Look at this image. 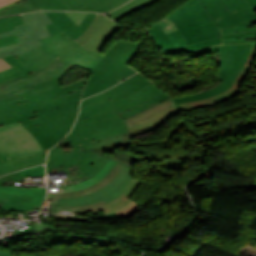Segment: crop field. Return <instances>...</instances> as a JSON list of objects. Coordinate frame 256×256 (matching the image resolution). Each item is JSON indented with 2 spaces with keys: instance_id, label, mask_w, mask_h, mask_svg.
I'll use <instances>...</instances> for the list:
<instances>
[{
  "instance_id": "36",
  "label": "crop field",
  "mask_w": 256,
  "mask_h": 256,
  "mask_svg": "<svg viewBox=\"0 0 256 256\" xmlns=\"http://www.w3.org/2000/svg\"><path fill=\"white\" fill-rule=\"evenodd\" d=\"M140 209H142V207L136 205L135 203H131L129 204L127 207L115 212L117 213L119 216H121L122 218L128 219L131 215H133L134 213H136L137 211H139Z\"/></svg>"
},
{
  "instance_id": "47",
  "label": "crop field",
  "mask_w": 256,
  "mask_h": 256,
  "mask_svg": "<svg viewBox=\"0 0 256 256\" xmlns=\"http://www.w3.org/2000/svg\"><path fill=\"white\" fill-rule=\"evenodd\" d=\"M248 2L251 4V6L254 8L256 11V0H248Z\"/></svg>"
},
{
  "instance_id": "23",
  "label": "crop field",
  "mask_w": 256,
  "mask_h": 256,
  "mask_svg": "<svg viewBox=\"0 0 256 256\" xmlns=\"http://www.w3.org/2000/svg\"><path fill=\"white\" fill-rule=\"evenodd\" d=\"M17 59L21 61L32 72L37 69L43 68L56 60L55 57L51 56L40 47Z\"/></svg>"
},
{
  "instance_id": "43",
  "label": "crop field",
  "mask_w": 256,
  "mask_h": 256,
  "mask_svg": "<svg viewBox=\"0 0 256 256\" xmlns=\"http://www.w3.org/2000/svg\"><path fill=\"white\" fill-rule=\"evenodd\" d=\"M111 218H121V217H119L115 213H111L109 215H104V216H99V217H91V216H89L88 219H91V220H101V219H111Z\"/></svg>"
},
{
  "instance_id": "30",
  "label": "crop field",
  "mask_w": 256,
  "mask_h": 256,
  "mask_svg": "<svg viewBox=\"0 0 256 256\" xmlns=\"http://www.w3.org/2000/svg\"><path fill=\"white\" fill-rule=\"evenodd\" d=\"M40 10L32 0H18L0 7V16Z\"/></svg>"
},
{
  "instance_id": "31",
  "label": "crop field",
  "mask_w": 256,
  "mask_h": 256,
  "mask_svg": "<svg viewBox=\"0 0 256 256\" xmlns=\"http://www.w3.org/2000/svg\"><path fill=\"white\" fill-rule=\"evenodd\" d=\"M155 0H132L131 2H129L128 4L107 13L106 15L112 19H119L151 2H153Z\"/></svg>"
},
{
  "instance_id": "11",
  "label": "crop field",
  "mask_w": 256,
  "mask_h": 256,
  "mask_svg": "<svg viewBox=\"0 0 256 256\" xmlns=\"http://www.w3.org/2000/svg\"><path fill=\"white\" fill-rule=\"evenodd\" d=\"M130 138L131 135L128 132L97 141L82 143L80 145L84 153L100 154L99 157H105L132 168L138 158L135 155L118 152L113 149V147L132 145Z\"/></svg>"
},
{
  "instance_id": "29",
  "label": "crop field",
  "mask_w": 256,
  "mask_h": 256,
  "mask_svg": "<svg viewBox=\"0 0 256 256\" xmlns=\"http://www.w3.org/2000/svg\"><path fill=\"white\" fill-rule=\"evenodd\" d=\"M141 183V181L133 178L131 179V181L129 182L128 186L126 187V189L123 191V193L120 195L123 198L120 199L117 203L106 206L104 208L101 209H96V210H91V211H79V212H92V211H101L103 210V213H110L112 211H115L121 207H123L124 205H126L127 203H129L131 200H129L130 196L132 195V193L134 192L135 188L138 187V185ZM129 198V199H128Z\"/></svg>"
},
{
  "instance_id": "39",
  "label": "crop field",
  "mask_w": 256,
  "mask_h": 256,
  "mask_svg": "<svg viewBox=\"0 0 256 256\" xmlns=\"http://www.w3.org/2000/svg\"><path fill=\"white\" fill-rule=\"evenodd\" d=\"M69 18H71L78 26L87 13L84 12H64Z\"/></svg>"
},
{
  "instance_id": "4",
  "label": "crop field",
  "mask_w": 256,
  "mask_h": 256,
  "mask_svg": "<svg viewBox=\"0 0 256 256\" xmlns=\"http://www.w3.org/2000/svg\"><path fill=\"white\" fill-rule=\"evenodd\" d=\"M169 17L189 44L221 36L220 30L198 0H190Z\"/></svg>"
},
{
  "instance_id": "6",
  "label": "crop field",
  "mask_w": 256,
  "mask_h": 256,
  "mask_svg": "<svg viewBox=\"0 0 256 256\" xmlns=\"http://www.w3.org/2000/svg\"><path fill=\"white\" fill-rule=\"evenodd\" d=\"M148 84L150 82L137 73L103 93L83 99L80 106V115L77 120L115 111L111 101L123 98Z\"/></svg>"
},
{
  "instance_id": "35",
  "label": "crop field",
  "mask_w": 256,
  "mask_h": 256,
  "mask_svg": "<svg viewBox=\"0 0 256 256\" xmlns=\"http://www.w3.org/2000/svg\"><path fill=\"white\" fill-rule=\"evenodd\" d=\"M23 20L20 15L1 17L0 18V32L14 29L16 25L23 24Z\"/></svg>"
},
{
  "instance_id": "28",
  "label": "crop field",
  "mask_w": 256,
  "mask_h": 256,
  "mask_svg": "<svg viewBox=\"0 0 256 256\" xmlns=\"http://www.w3.org/2000/svg\"><path fill=\"white\" fill-rule=\"evenodd\" d=\"M115 163L116 162L108 160V162L103 167V169L101 171H99L94 177L89 179L88 181H84L83 183L75 184V185H72L69 187L48 189V193L68 192V191H73V190H77V189H82L89 185H92V184L96 183L97 181H99L100 179H102Z\"/></svg>"
},
{
  "instance_id": "38",
  "label": "crop field",
  "mask_w": 256,
  "mask_h": 256,
  "mask_svg": "<svg viewBox=\"0 0 256 256\" xmlns=\"http://www.w3.org/2000/svg\"><path fill=\"white\" fill-rule=\"evenodd\" d=\"M58 216V217H56ZM52 218L57 219H64V220H71V221H81V222H90L94 223V221L87 220L88 216H60V215H53Z\"/></svg>"
},
{
  "instance_id": "1",
  "label": "crop field",
  "mask_w": 256,
  "mask_h": 256,
  "mask_svg": "<svg viewBox=\"0 0 256 256\" xmlns=\"http://www.w3.org/2000/svg\"><path fill=\"white\" fill-rule=\"evenodd\" d=\"M73 64L58 58L48 67L0 84V125L20 121L44 151L75 121L86 78L65 87L58 81Z\"/></svg>"
},
{
  "instance_id": "12",
  "label": "crop field",
  "mask_w": 256,
  "mask_h": 256,
  "mask_svg": "<svg viewBox=\"0 0 256 256\" xmlns=\"http://www.w3.org/2000/svg\"><path fill=\"white\" fill-rule=\"evenodd\" d=\"M41 10L109 12L129 0H33Z\"/></svg>"
},
{
  "instance_id": "41",
  "label": "crop field",
  "mask_w": 256,
  "mask_h": 256,
  "mask_svg": "<svg viewBox=\"0 0 256 256\" xmlns=\"http://www.w3.org/2000/svg\"><path fill=\"white\" fill-rule=\"evenodd\" d=\"M16 35H11L7 37L0 38V47L17 42Z\"/></svg>"
},
{
  "instance_id": "20",
  "label": "crop field",
  "mask_w": 256,
  "mask_h": 256,
  "mask_svg": "<svg viewBox=\"0 0 256 256\" xmlns=\"http://www.w3.org/2000/svg\"><path fill=\"white\" fill-rule=\"evenodd\" d=\"M255 56H256V43H253L250 55H249L245 65H244L241 73L236 78V80L233 82L234 86L230 90H228L224 93L212 96L210 98L204 99V100L180 103V104H178L179 108H187V107L206 104V103H211V102H214L215 104H218V103L223 102L227 99H230L233 96H235L236 94H238L242 90L238 87L241 84L243 78L246 76L248 70L250 69Z\"/></svg>"
},
{
  "instance_id": "17",
  "label": "crop field",
  "mask_w": 256,
  "mask_h": 256,
  "mask_svg": "<svg viewBox=\"0 0 256 256\" xmlns=\"http://www.w3.org/2000/svg\"><path fill=\"white\" fill-rule=\"evenodd\" d=\"M160 93H163V92L151 84V85L133 93L132 95H130L126 98L120 99L118 101H114L113 104H114L115 108L117 109V111L111 112L108 114H104L101 116L77 121L74 126H78V125L94 122L97 120H101V119H104L107 117H111L114 115H118L120 112H122L126 109H129V108L135 107Z\"/></svg>"
},
{
  "instance_id": "27",
  "label": "crop field",
  "mask_w": 256,
  "mask_h": 256,
  "mask_svg": "<svg viewBox=\"0 0 256 256\" xmlns=\"http://www.w3.org/2000/svg\"><path fill=\"white\" fill-rule=\"evenodd\" d=\"M12 67L3 71H0V82H4L21 75H26L31 71L27 69L21 62H19L13 55L3 58Z\"/></svg>"
},
{
  "instance_id": "46",
  "label": "crop field",
  "mask_w": 256,
  "mask_h": 256,
  "mask_svg": "<svg viewBox=\"0 0 256 256\" xmlns=\"http://www.w3.org/2000/svg\"><path fill=\"white\" fill-rule=\"evenodd\" d=\"M241 42H256V40L231 41V42H224V43H241Z\"/></svg>"
},
{
  "instance_id": "45",
  "label": "crop field",
  "mask_w": 256,
  "mask_h": 256,
  "mask_svg": "<svg viewBox=\"0 0 256 256\" xmlns=\"http://www.w3.org/2000/svg\"><path fill=\"white\" fill-rule=\"evenodd\" d=\"M13 1H15V0H0V6L9 4V3L13 2Z\"/></svg>"
},
{
  "instance_id": "44",
  "label": "crop field",
  "mask_w": 256,
  "mask_h": 256,
  "mask_svg": "<svg viewBox=\"0 0 256 256\" xmlns=\"http://www.w3.org/2000/svg\"><path fill=\"white\" fill-rule=\"evenodd\" d=\"M8 67H10V65L0 58V70L6 69Z\"/></svg>"
},
{
  "instance_id": "7",
  "label": "crop field",
  "mask_w": 256,
  "mask_h": 256,
  "mask_svg": "<svg viewBox=\"0 0 256 256\" xmlns=\"http://www.w3.org/2000/svg\"><path fill=\"white\" fill-rule=\"evenodd\" d=\"M36 139L19 123L0 126V159L43 154Z\"/></svg>"
},
{
  "instance_id": "15",
  "label": "crop field",
  "mask_w": 256,
  "mask_h": 256,
  "mask_svg": "<svg viewBox=\"0 0 256 256\" xmlns=\"http://www.w3.org/2000/svg\"><path fill=\"white\" fill-rule=\"evenodd\" d=\"M122 27L118 22L98 14L93 24L75 41L85 48L100 52L104 44Z\"/></svg>"
},
{
  "instance_id": "3",
  "label": "crop field",
  "mask_w": 256,
  "mask_h": 256,
  "mask_svg": "<svg viewBox=\"0 0 256 256\" xmlns=\"http://www.w3.org/2000/svg\"><path fill=\"white\" fill-rule=\"evenodd\" d=\"M222 34L256 30V13L247 0H199Z\"/></svg>"
},
{
  "instance_id": "40",
  "label": "crop field",
  "mask_w": 256,
  "mask_h": 256,
  "mask_svg": "<svg viewBox=\"0 0 256 256\" xmlns=\"http://www.w3.org/2000/svg\"><path fill=\"white\" fill-rule=\"evenodd\" d=\"M254 36H256V31L242 32V33H232V34H228V35H223V39L241 38V37H254Z\"/></svg>"
},
{
  "instance_id": "19",
  "label": "crop field",
  "mask_w": 256,
  "mask_h": 256,
  "mask_svg": "<svg viewBox=\"0 0 256 256\" xmlns=\"http://www.w3.org/2000/svg\"><path fill=\"white\" fill-rule=\"evenodd\" d=\"M148 31L150 32V35L152 36L153 40L157 44L158 48L160 49L161 53L163 54H171L176 52H189L194 51L196 49L214 45V44H221L222 40L220 38L188 45L185 47H181L176 49L175 46L172 44V42L169 40L167 35L164 33V31L161 29V27L158 24L153 25L152 27L148 28Z\"/></svg>"
},
{
  "instance_id": "9",
  "label": "crop field",
  "mask_w": 256,
  "mask_h": 256,
  "mask_svg": "<svg viewBox=\"0 0 256 256\" xmlns=\"http://www.w3.org/2000/svg\"><path fill=\"white\" fill-rule=\"evenodd\" d=\"M251 44H234V45H224L225 56H226V67L231 69L229 75L223 82L206 92L199 93L196 95H190L185 97L174 98L176 103L199 100L207 98L209 96L221 93L232 87L231 83L240 73L251 49Z\"/></svg>"
},
{
  "instance_id": "33",
  "label": "crop field",
  "mask_w": 256,
  "mask_h": 256,
  "mask_svg": "<svg viewBox=\"0 0 256 256\" xmlns=\"http://www.w3.org/2000/svg\"><path fill=\"white\" fill-rule=\"evenodd\" d=\"M169 98L170 97L167 96L165 93L160 94L159 96H157V97H155V98H153V99H151V100H149V101H147V102H145V103H143V104H141V105H139V106H137L133 109L127 110V111L121 113L120 115L123 119L127 118V117L132 116L136 113H139V112H141V111H143V110H145V109H147V108H149V107H151V106H153V105H155L159 102L165 101Z\"/></svg>"
},
{
  "instance_id": "16",
  "label": "crop field",
  "mask_w": 256,
  "mask_h": 256,
  "mask_svg": "<svg viewBox=\"0 0 256 256\" xmlns=\"http://www.w3.org/2000/svg\"><path fill=\"white\" fill-rule=\"evenodd\" d=\"M53 24L46 25L50 35L59 34L61 37L68 35L72 39H76L91 25L97 14L88 13L78 27L63 12L45 11Z\"/></svg>"
},
{
  "instance_id": "24",
  "label": "crop field",
  "mask_w": 256,
  "mask_h": 256,
  "mask_svg": "<svg viewBox=\"0 0 256 256\" xmlns=\"http://www.w3.org/2000/svg\"><path fill=\"white\" fill-rule=\"evenodd\" d=\"M46 154L26 158L10 159L0 163V176L8 172L25 167L42 164L45 162Z\"/></svg>"
},
{
  "instance_id": "10",
  "label": "crop field",
  "mask_w": 256,
  "mask_h": 256,
  "mask_svg": "<svg viewBox=\"0 0 256 256\" xmlns=\"http://www.w3.org/2000/svg\"><path fill=\"white\" fill-rule=\"evenodd\" d=\"M124 132H128V130L123 119L118 115L75 127L66 137L71 148H81L79 143L97 140Z\"/></svg>"
},
{
  "instance_id": "22",
  "label": "crop field",
  "mask_w": 256,
  "mask_h": 256,
  "mask_svg": "<svg viewBox=\"0 0 256 256\" xmlns=\"http://www.w3.org/2000/svg\"><path fill=\"white\" fill-rule=\"evenodd\" d=\"M173 106H175V103L172 98H170L169 100L159 103L144 112L125 119V123L128 128L135 125L143 124L152 120L153 118L157 117L158 115Z\"/></svg>"
},
{
  "instance_id": "2",
  "label": "crop field",
  "mask_w": 256,
  "mask_h": 256,
  "mask_svg": "<svg viewBox=\"0 0 256 256\" xmlns=\"http://www.w3.org/2000/svg\"><path fill=\"white\" fill-rule=\"evenodd\" d=\"M138 44L118 40L105 54L107 57L90 69V78L82 99L104 91L135 73L125 64L135 55Z\"/></svg>"
},
{
  "instance_id": "14",
  "label": "crop field",
  "mask_w": 256,
  "mask_h": 256,
  "mask_svg": "<svg viewBox=\"0 0 256 256\" xmlns=\"http://www.w3.org/2000/svg\"><path fill=\"white\" fill-rule=\"evenodd\" d=\"M133 169L125 168L115 177V179L103 189L92 193L87 196L71 198V199H58L56 202H59V206H74V205H84V204H92L95 202H99L103 199L106 202L117 198L121 192L125 189L128 182L132 177Z\"/></svg>"
},
{
  "instance_id": "18",
  "label": "crop field",
  "mask_w": 256,
  "mask_h": 256,
  "mask_svg": "<svg viewBox=\"0 0 256 256\" xmlns=\"http://www.w3.org/2000/svg\"><path fill=\"white\" fill-rule=\"evenodd\" d=\"M82 156V149L63 150L61 142H59L48 153L46 163L47 173L69 168L75 165Z\"/></svg>"
},
{
  "instance_id": "49",
  "label": "crop field",
  "mask_w": 256,
  "mask_h": 256,
  "mask_svg": "<svg viewBox=\"0 0 256 256\" xmlns=\"http://www.w3.org/2000/svg\"><path fill=\"white\" fill-rule=\"evenodd\" d=\"M4 184L1 180H0V185Z\"/></svg>"
},
{
  "instance_id": "34",
  "label": "crop field",
  "mask_w": 256,
  "mask_h": 256,
  "mask_svg": "<svg viewBox=\"0 0 256 256\" xmlns=\"http://www.w3.org/2000/svg\"><path fill=\"white\" fill-rule=\"evenodd\" d=\"M44 166L33 167L23 171L15 172L1 177L2 181L5 180H20L23 176H44Z\"/></svg>"
},
{
  "instance_id": "32",
  "label": "crop field",
  "mask_w": 256,
  "mask_h": 256,
  "mask_svg": "<svg viewBox=\"0 0 256 256\" xmlns=\"http://www.w3.org/2000/svg\"><path fill=\"white\" fill-rule=\"evenodd\" d=\"M212 52H220V64H221V68L220 71L218 72V74L216 75V78L223 80L226 78V76L229 73V69L225 68V57H224V47L223 45L221 46H216V47H211V48H207L204 50H199V51H195L193 52L196 55H200V54H204V53H212Z\"/></svg>"
},
{
  "instance_id": "13",
  "label": "crop field",
  "mask_w": 256,
  "mask_h": 256,
  "mask_svg": "<svg viewBox=\"0 0 256 256\" xmlns=\"http://www.w3.org/2000/svg\"><path fill=\"white\" fill-rule=\"evenodd\" d=\"M46 195V188H18L0 186V198L8 200L2 206L10 210H30L41 207Z\"/></svg>"
},
{
  "instance_id": "48",
  "label": "crop field",
  "mask_w": 256,
  "mask_h": 256,
  "mask_svg": "<svg viewBox=\"0 0 256 256\" xmlns=\"http://www.w3.org/2000/svg\"><path fill=\"white\" fill-rule=\"evenodd\" d=\"M0 256H12L11 253H7V252H0ZM58 256V255H56Z\"/></svg>"
},
{
  "instance_id": "5",
  "label": "crop field",
  "mask_w": 256,
  "mask_h": 256,
  "mask_svg": "<svg viewBox=\"0 0 256 256\" xmlns=\"http://www.w3.org/2000/svg\"><path fill=\"white\" fill-rule=\"evenodd\" d=\"M26 24L17 26L14 30L0 33V37L17 34L19 42L0 48V57L13 54L18 57L40 45V38L49 34L44 24L51 23L44 11L22 15Z\"/></svg>"
},
{
  "instance_id": "21",
  "label": "crop field",
  "mask_w": 256,
  "mask_h": 256,
  "mask_svg": "<svg viewBox=\"0 0 256 256\" xmlns=\"http://www.w3.org/2000/svg\"><path fill=\"white\" fill-rule=\"evenodd\" d=\"M124 165H121L117 163L113 166V168L109 171V173L98 183L82 190L73 191L69 193H58V194H48L46 199H56V198H70V197H76V196H82L87 195L92 192H95L104 186L108 185L114 177L123 169Z\"/></svg>"
},
{
  "instance_id": "26",
  "label": "crop field",
  "mask_w": 256,
  "mask_h": 256,
  "mask_svg": "<svg viewBox=\"0 0 256 256\" xmlns=\"http://www.w3.org/2000/svg\"><path fill=\"white\" fill-rule=\"evenodd\" d=\"M97 157L98 155L95 154H84L81 160L77 163L80 170L83 171L86 180L94 176L107 162V159Z\"/></svg>"
},
{
  "instance_id": "37",
  "label": "crop field",
  "mask_w": 256,
  "mask_h": 256,
  "mask_svg": "<svg viewBox=\"0 0 256 256\" xmlns=\"http://www.w3.org/2000/svg\"><path fill=\"white\" fill-rule=\"evenodd\" d=\"M120 198L122 197H118L117 199L109 202V203H106L105 200L99 202V203H95V204H92V205H85V206H74V207H53V208H78V210H91V209H96V208H100V207H103L105 205H108V204H112L116 201H118Z\"/></svg>"
},
{
  "instance_id": "50",
  "label": "crop field",
  "mask_w": 256,
  "mask_h": 256,
  "mask_svg": "<svg viewBox=\"0 0 256 256\" xmlns=\"http://www.w3.org/2000/svg\"><path fill=\"white\" fill-rule=\"evenodd\" d=\"M2 206V204H0V207Z\"/></svg>"
},
{
  "instance_id": "42",
  "label": "crop field",
  "mask_w": 256,
  "mask_h": 256,
  "mask_svg": "<svg viewBox=\"0 0 256 256\" xmlns=\"http://www.w3.org/2000/svg\"><path fill=\"white\" fill-rule=\"evenodd\" d=\"M36 227H39L41 229H45L47 231H65L67 229L64 228H58V227H50V226H45V225H40V224H36ZM36 227H28L27 229H31V228H36Z\"/></svg>"
},
{
  "instance_id": "8",
  "label": "crop field",
  "mask_w": 256,
  "mask_h": 256,
  "mask_svg": "<svg viewBox=\"0 0 256 256\" xmlns=\"http://www.w3.org/2000/svg\"><path fill=\"white\" fill-rule=\"evenodd\" d=\"M67 36L61 38L56 34L52 37L41 39L40 41L44 44L41 47L57 58L60 56L88 70L106 57L101 53L85 49Z\"/></svg>"
},
{
  "instance_id": "25",
  "label": "crop field",
  "mask_w": 256,
  "mask_h": 256,
  "mask_svg": "<svg viewBox=\"0 0 256 256\" xmlns=\"http://www.w3.org/2000/svg\"><path fill=\"white\" fill-rule=\"evenodd\" d=\"M178 113H180V111L178 110L177 106L173 107L146 124L129 128V131L132 137L151 133L160 125H162L164 122H166L170 117Z\"/></svg>"
}]
</instances>
